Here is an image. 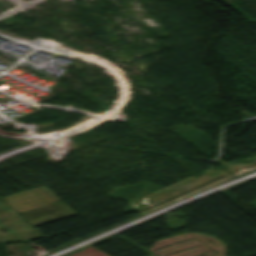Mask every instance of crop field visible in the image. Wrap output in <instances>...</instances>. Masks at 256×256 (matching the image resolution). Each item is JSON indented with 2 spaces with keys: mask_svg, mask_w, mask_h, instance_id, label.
Wrapping results in <instances>:
<instances>
[{
  "mask_svg": "<svg viewBox=\"0 0 256 256\" xmlns=\"http://www.w3.org/2000/svg\"><path fill=\"white\" fill-rule=\"evenodd\" d=\"M1 199L19 211L33 227L76 215L44 186Z\"/></svg>",
  "mask_w": 256,
  "mask_h": 256,
  "instance_id": "8a807250",
  "label": "crop field"
},
{
  "mask_svg": "<svg viewBox=\"0 0 256 256\" xmlns=\"http://www.w3.org/2000/svg\"><path fill=\"white\" fill-rule=\"evenodd\" d=\"M0 228L6 229L7 233L0 235V242L31 241L41 236L25 221L14 209L0 200Z\"/></svg>",
  "mask_w": 256,
  "mask_h": 256,
  "instance_id": "ac0d7876",
  "label": "crop field"
}]
</instances>
